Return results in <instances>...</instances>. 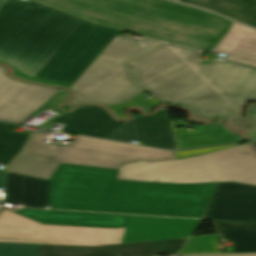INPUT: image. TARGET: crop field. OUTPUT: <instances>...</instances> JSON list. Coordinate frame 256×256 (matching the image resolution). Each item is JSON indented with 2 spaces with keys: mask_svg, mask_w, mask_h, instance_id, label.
Masks as SVG:
<instances>
[{
  "mask_svg": "<svg viewBox=\"0 0 256 256\" xmlns=\"http://www.w3.org/2000/svg\"><path fill=\"white\" fill-rule=\"evenodd\" d=\"M118 170L60 164L48 181L7 172L6 201L23 207L201 218L217 183L116 180Z\"/></svg>",
  "mask_w": 256,
  "mask_h": 256,
  "instance_id": "8a807250",
  "label": "crop field"
},
{
  "mask_svg": "<svg viewBox=\"0 0 256 256\" xmlns=\"http://www.w3.org/2000/svg\"><path fill=\"white\" fill-rule=\"evenodd\" d=\"M120 32L27 0H0V60L71 86Z\"/></svg>",
  "mask_w": 256,
  "mask_h": 256,
  "instance_id": "ac0d7876",
  "label": "crop field"
},
{
  "mask_svg": "<svg viewBox=\"0 0 256 256\" xmlns=\"http://www.w3.org/2000/svg\"><path fill=\"white\" fill-rule=\"evenodd\" d=\"M199 56V51L165 43L128 63L159 103L188 107L197 121L219 117L234 130L243 129V107L256 101V67L228 60H213L207 67Z\"/></svg>",
  "mask_w": 256,
  "mask_h": 256,
  "instance_id": "34b2d1b8",
  "label": "crop field"
},
{
  "mask_svg": "<svg viewBox=\"0 0 256 256\" xmlns=\"http://www.w3.org/2000/svg\"><path fill=\"white\" fill-rule=\"evenodd\" d=\"M141 35L210 50L233 21L163 0H36Z\"/></svg>",
  "mask_w": 256,
  "mask_h": 256,
  "instance_id": "412701ff",
  "label": "crop field"
},
{
  "mask_svg": "<svg viewBox=\"0 0 256 256\" xmlns=\"http://www.w3.org/2000/svg\"><path fill=\"white\" fill-rule=\"evenodd\" d=\"M199 220L129 216L125 228L102 229L42 225L5 209L0 214V242L103 245L189 237Z\"/></svg>",
  "mask_w": 256,
  "mask_h": 256,
  "instance_id": "f4fd0767",
  "label": "crop field"
},
{
  "mask_svg": "<svg viewBox=\"0 0 256 256\" xmlns=\"http://www.w3.org/2000/svg\"><path fill=\"white\" fill-rule=\"evenodd\" d=\"M117 179L181 184L236 182L256 186V150L247 143L181 160L139 161L120 167Z\"/></svg>",
  "mask_w": 256,
  "mask_h": 256,
  "instance_id": "dd49c442",
  "label": "crop field"
},
{
  "mask_svg": "<svg viewBox=\"0 0 256 256\" xmlns=\"http://www.w3.org/2000/svg\"><path fill=\"white\" fill-rule=\"evenodd\" d=\"M159 43L161 41L149 38L117 35L72 85L70 89L76 94L70 99L67 108L80 102L110 106L141 93L143 90L137 86L125 61Z\"/></svg>",
  "mask_w": 256,
  "mask_h": 256,
  "instance_id": "e52e79f7",
  "label": "crop field"
},
{
  "mask_svg": "<svg viewBox=\"0 0 256 256\" xmlns=\"http://www.w3.org/2000/svg\"><path fill=\"white\" fill-rule=\"evenodd\" d=\"M54 123L65 125L64 131L127 142L139 140L143 145L176 149L165 107L153 116H133L132 121L123 124L99 106L82 105Z\"/></svg>",
  "mask_w": 256,
  "mask_h": 256,
  "instance_id": "d8731c3e",
  "label": "crop field"
},
{
  "mask_svg": "<svg viewBox=\"0 0 256 256\" xmlns=\"http://www.w3.org/2000/svg\"><path fill=\"white\" fill-rule=\"evenodd\" d=\"M47 133L48 131L35 133L23 152L50 157V162L114 169L139 160L175 159L174 152L79 135H76L70 146L41 143Z\"/></svg>",
  "mask_w": 256,
  "mask_h": 256,
  "instance_id": "5a996713",
  "label": "crop field"
},
{
  "mask_svg": "<svg viewBox=\"0 0 256 256\" xmlns=\"http://www.w3.org/2000/svg\"><path fill=\"white\" fill-rule=\"evenodd\" d=\"M58 91L14 80L0 66V119L22 123Z\"/></svg>",
  "mask_w": 256,
  "mask_h": 256,
  "instance_id": "3316defc",
  "label": "crop field"
},
{
  "mask_svg": "<svg viewBox=\"0 0 256 256\" xmlns=\"http://www.w3.org/2000/svg\"><path fill=\"white\" fill-rule=\"evenodd\" d=\"M203 218L256 221V187L219 183Z\"/></svg>",
  "mask_w": 256,
  "mask_h": 256,
  "instance_id": "28ad6ade",
  "label": "crop field"
},
{
  "mask_svg": "<svg viewBox=\"0 0 256 256\" xmlns=\"http://www.w3.org/2000/svg\"><path fill=\"white\" fill-rule=\"evenodd\" d=\"M186 240L187 238L103 246L41 245L38 256H120V254L177 253Z\"/></svg>",
  "mask_w": 256,
  "mask_h": 256,
  "instance_id": "d1516ede",
  "label": "crop field"
},
{
  "mask_svg": "<svg viewBox=\"0 0 256 256\" xmlns=\"http://www.w3.org/2000/svg\"><path fill=\"white\" fill-rule=\"evenodd\" d=\"M42 224L68 225L82 227L119 228L124 227L127 217L122 215L28 209L12 211Z\"/></svg>",
  "mask_w": 256,
  "mask_h": 256,
  "instance_id": "22f410ed",
  "label": "crop field"
},
{
  "mask_svg": "<svg viewBox=\"0 0 256 256\" xmlns=\"http://www.w3.org/2000/svg\"><path fill=\"white\" fill-rule=\"evenodd\" d=\"M214 52L229 54L225 59L256 66V30L234 23Z\"/></svg>",
  "mask_w": 256,
  "mask_h": 256,
  "instance_id": "cbeb9de0",
  "label": "crop field"
},
{
  "mask_svg": "<svg viewBox=\"0 0 256 256\" xmlns=\"http://www.w3.org/2000/svg\"><path fill=\"white\" fill-rule=\"evenodd\" d=\"M179 149L243 141L227 131L221 122L198 126L196 131L175 134Z\"/></svg>",
  "mask_w": 256,
  "mask_h": 256,
  "instance_id": "5142ce71",
  "label": "crop field"
},
{
  "mask_svg": "<svg viewBox=\"0 0 256 256\" xmlns=\"http://www.w3.org/2000/svg\"><path fill=\"white\" fill-rule=\"evenodd\" d=\"M212 222L218 235L233 243V253H256V223Z\"/></svg>",
  "mask_w": 256,
  "mask_h": 256,
  "instance_id": "d9b57169",
  "label": "crop field"
},
{
  "mask_svg": "<svg viewBox=\"0 0 256 256\" xmlns=\"http://www.w3.org/2000/svg\"><path fill=\"white\" fill-rule=\"evenodd\" d=\"M47 159L21 153L7 171L48 180L59 164L46 162Z\"/></svg>",
  "mask_w": 256,
  "mask_h": 256,
  "instance_id": "733c2abd",
  "label": "crop field"
},
{
  "mask_svg": "<svg viewBox=\"0 0 256 256\" xmlns=\"http://www.w3.org/2000/svg\"><path fill=\"white\" fill-rule=\"evenodd\" d=\"M15 124L0 122V164L7 165L22 149L27 134L11 132Z\"/></svg>",
  "mask_w": 256,
  "mask_h": 256,
  "instance_id": "4a817a6b",
  "label": "crop field"
},
{
  "mask_svg": "<svg viewBox=\"0 0 256 256\" xmlns=\"http://www.w3.org/2000/svg\"><path fill=\"white\" fill-rule=\"evenodd\" d=\"M214 12L256 27V0H232Z\"/></svg>",
  "mask_w": 256,
  "mask_h": 256,
  "instance_id": "bc2a9ffb",
  "label": "crop field"
},
{
  "mask_svg": "<svg viewBox=\"0 0 256 256\" xmlns=\"http://www.w3.org/2000/svg\"><path fill=\"white\" fill-rule=\"evenodd\" d=\"M217 235L190 238L180 253L216 252Z\"/></svg>",
  "mask_w": 256,
  "mask_h": 256,
  "instance_id": "214f88e0",
  "label": "crop field"
},
{
  "mask_svg": "<svg viewBox=\"0 0 256 256\" xmlns=\"http://www.w3.org/2000/svg\"><path fill=\"white\" fill-rule=\"evenodd\" d=\"M157 104L155 100L147 101L143 96L140 94L136 97L132 98L131 100L121 103L118 105L110 106L111 110L114 112V114L119 117L120 119H125L126 116L124 114V109L126 107L130 106H141L144 109V112L151 111Z\"/></svg>",
  "mask_w": 256,
  "mask_h": 256,
  "instance_id": "92a150f3",
  "label": "crop field"
},
{
  "mask_svg": "<svg viewBox=\"0 0 256 256\" xmlns=\"http://www.w3.org/2000/svg\"><path fill=\"white\" fill-rule=\"evenodd\" d=\"M39 246L0 243V256H37Z\"/></svg>",
  "mask_w": 256,
  "mask_h": 256,
  "instance_id": "dafd665d",
  "label": "crop field"
},
{
  "mask_svg": "<svg viewBox=\"0 0 256 256\" xmlns=\"http://www.w3.org/2000/svg\"><path fill=\"white\" fill-rule=\"evenodd\" d=\"M238 144L234 145H226V146H217V147H209V148H201V149H192V150H184V151H177L175 152L176 158H184V157H190V156H196V155H202L211 153L214 151L222 150L225 148L237 146Z\"/></svg>",
  "mask_w": 256,
  "mask_h": 256,
  "instance_id": "00972430",
  "label": "crop field"
},
{
  "mask_svg": "<svg viewBox=\"0 0 256 256\" xmlns=\"http://www.w3.org/2000/svg\"><path fill=\"white\" fill-rule=\"evenodd\" d=\"M178 1L190 3L198 7L213 11L230 0H178Z\"/></svg>",
  "mask_w": 256,
  "mask_h": 256,
  "instance_id": "a9b5d70f",
  "label": "crop field"
},
{
  "mask_svg": "<svg viewBox=\"0 0 256 256\" xmlns=\"http://www.w3.org/2000/svg\"><path fill=\"white\" fill-rule=\"evenodd\" d=\"M1 62V61H0ZM7 64V63H6ZM9 65V64H8ZM11 66V65H10ZM14 68V67H13ZM14 75L23 78V79H27V80H31V81H36V82H41V83H45V84H50V85H58V86H63V87H67L70 88L69 86L66 85H62L59 83H54V82H48V81H44V80H40V79H36V78H32V77H28L26 75H24L23 73H21L19 70H17L16 68H14Z\"/></svg>",
  "mask_w": 256,
  "mask_h": 256,
  "instance_id": "4177f3b9",
  "label": "crop field"
},
{
  "mask_svg": "<svg viewBox=\"0 0 256 256\" xmlns=\"http://www.w3.org/2000/svg\"><path fill=\"white\" fill-rule=\"evenodd\" d=\"M248 117L254 118V124L248 129L247 133L256 132V104H250Z\"/></svg>",
  "mask_w": 256,
  "mask_h": 256,
  "instance_id": "730fd06b",
  "label": "crop field"
},
{
  "mask_svg": "<svg viewBox=\"0 0 256 256\" xmlns=\"http://www.w3.org/2000/svg\"><path fill=\"white\" fill-rule=\"evenodd\" d=\"M183 256H256V254H210V255H183Z\"/></svg>",
  "mask_w": 256,
  "mask_h": 256,
  "instance_id": "eef30255",
  "label": "crop field"
},
{
  "mask_svg": "<svg viewBox=\"0 0 256 256\" xmlns=\"http://www.w3.org/2000/svg\"><path fill=\"white\" fill-rule=\"evenodd\" d=\"M187 125L186 123L172 124L174 132L185 131L184 129H176V127Z\"/></svg>",
  "mask_w": 256,
  "mask_h": 256,
  "instance_id": "ae1a2a85",
  "label": "crop field"
},
{
  "mask_svg": "<svg viewBox=\"0 0 256 256\" xmlns=\"http://www.w3.org/2000/svg\"><path fill=\"white\" fill-rule=\"evenodd\" d=\"M4 175L5 172L0 171V188H4Z\"/></svg>",
  "mask_w": 256,
  "mask_h": 256,
  "instance_id": "d3111659",
  "label": "crop field"
},
{
  "mask_svg": "<svg viewBox=\"0 0 256 256\" xmlns=\"http://www.w3.org/2000/svg\"><path fill=\"white\" fill-rule=\"evenodd\" d=\"M250 139H256V133L247 134Z\"/></svg>",
  "mask_w": 256,
  "mask_h": 256,
  "instance_id": "750c4746",
  "label": "crop field"
},
{
  "mask_svg": "<svg viewBox=\"0 0 256 256\" xmlns=\"http://www.w3.org/2000/svg\"><path fill=\"white\" fill-rule=\"evenodd\" d=\"M0 210H1V208H0Z\"/></svg>",
  "mask_w": 256,
  "mask_h": 256,
  "instance_id": "bd1437ed",
  "label": "crop field"
}]
</instances>
